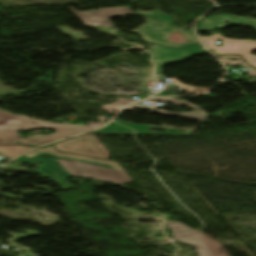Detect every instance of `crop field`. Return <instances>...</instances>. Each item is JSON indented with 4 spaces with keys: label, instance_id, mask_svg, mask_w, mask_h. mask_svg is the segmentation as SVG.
Masks as SVG:
<instances>
[{
    "label": "crop field",
    "instance_id": "cbeb9de0",
    "mask_svg": "<svg viewBox=\"0 0 256 256\" xmlns=\"http://www.w3.org/2000/svg\"><path fill=\"white\" fill-rule=\"evenodd\" d=\"M19 161L22 162V163H29V164H32V165L36 164L35 162L31 161L30 159L22 156V157H20V158H18L17 160L14 161L15 165H7V166L3 167V169H13L15 171L24 170L25 168H20V166H17Z\"/></svg>",
    "mask_w": 256,
    "mask_h": 256
},
{
    "label": "crop field",
    "instance_id": "34b2d1b8",
    "mask_svg": "<svg viewBox=\"0 0 256 256\" xmlns=\"http://www.w3.org/2000/svg\"><path fill=\"white\" fill-rule=\"evenodd\" d=\"M175 240L196 247L198 256H230L222 245L179 222H167Z\"/></svg>",
    "mask_w": 256,
    "mask_h": 256
},
{
    "label": "crop field",
    "instance_id": "d1516ede",
    "mask_svg": "<svg viewBox=\"0 0 256 256\" xmlns=\"http://www.w3.org/2000/svg\"><path fill=\"white\" fill-rule=\"evenodd\" d=\"M220 59L223 61V63L225 65H243L244 67L250 69L248 71V75L251 77H256V70L253 69L251 66H249L248 64H246L240 56H219ZM225 57H234L236 59H238L237 61H232V60H226L224 59Z\"/></svg>",
    "mask_w": 256,
    "mask_h": 256
},
{
    "label": "crop field",
    "instance_id": "dd49c442",
    "mask_svg": "<svg viewBox=\"0 0 256 256\" xmlns=\"http://www.w3.org/2000/svg\"><path fill=\"white\" fill-rule=\"evenodd\" d=\"M157 46L154 49L155 63L157 65V74H161L164 65L172 62L184 61L194 55L206 54L207 51L202 50L198 44H194L182 49H170L162 46Z\"/></svg>",
    "mask_w": 256,
    "mask_h": 256
},
{
    "label": "crop field",
    "instance_id": "8a807250",
    "mask_svg": "<svg viewBox=\"0 0 256 256\" xmlns=\"http://www.w3.org/2000/svg\"><path fill=\"white\" fill-rule=\"evenodd\" d=\"M55 146L58 150L91 157H111L108 150L96 136L74 138L55 144ZM25 156L41 164L37 172L55 181L63 189L71 187L66 182V179L74 175L116 184H124L132 181L117 162L61 153L57 152L53 146L36 149ZM55 172L61 173V175L59 176Z\"/></svg>",
    "mask_w": 256,
    "mask_h": 256
},
{
    "label": "crop field",
    "instance_id": "5a996713",
    "mask_svg": "<svg viewBox=\"0 0 256 256\" xmlns=\"http://www.w3.org/2000/svg\"><path fill=\"white\" fill-rule=\"evenodd\" d=\"M150 100H163V101H167V102L176 104V105H178V106H180V105H182V104H185V105H187V106H190V107L196 109L197 111H196V112H193V113H187V114L166 113V112L159 111V110H154V109H150V108H146V107L137 106V105H135V104L130 105V106H128V107L125 108V109H129L130 107H133V108H140V109H144V110L156 112V113L162 114V115H174V116L192 118V119H195V120H198V121H201V120H203L205 117H207L206 113H204L203 111H201L199 108H197V107L194 106V105L188 104V103H186V102H184V101H182V100H175V99H173V98H155V99H150Z\"/></svg>",
    "mask_w": 256,
    "mask_h": 256
},
{
    "label": "crop field",
    "instance_id": "28ad6ade",
    "mask_svg": "<svg viewBox=\"0 0 256 256\" xmlns=\"http://www.w3.org/2000/svg\"><path fill=\"white\" fill-rule=\"evenodd\" d=\"M219 17L223 18L221 21H216L215 24H201V28L199 29H213L216 26H219L221 29L225 27L226 25L223 23L224 21L233 22L234 16L227 15V14H221L220 16H213L210 18H213V20L218 19ZM240 24H230V25H241L246 26L241 20H238ZM207 27V28H205Z\"/></svg>",
    "mask_w": 256,
    "mask_h": 256
},
{
    "label": "crop field",
    "instance_id": "d9b57169",
    "mask_svg": "<svg viewBox=\"0 0 256 256\" xmlns=\"http://www.w3.org/2000/svg\"><path fill=\"white\" fill-rule=\"evenodd\" d=\"M98 117H99V119H100L99 124H96V123H90L89 128L94 129V128H97V127L103 126V124H101V123H102L104 120H108V119H105V118H104V117H102V116H98Z\"/></svg>",
    "mask_w": 256,
    "mask_h": 256
},
{
    "label": "crop field",
    "instance_id": "ac0d7876",
    "mask_svg": "<svg viewBox=\"0 0 256 256\" xmlns=\"http://www.w3.org/2000/svg\"><path fill=\"white\" fill-rule=\"evenodd\" d=\"M36 127L53 129L57 133L49 136L36 135L23 140L17 135V131ZM87 130H90L88 126L53 124L47 121L33 120L28 116L14 115L0 109V144H15L17 140H20L21 143L38 146Z\"/></svg>",
    "mask_w": 256,
    "mask_h": 256
},
{
    "label": "crop field",
    "instance_id": "22f410ed",
    "mask_svg": "<svg viewBox=\"0 0 256 256\" xmlns=\"http://www.w3.org/2000/svg\"><path fill=\"white\" fill-rule=\"evenodd\" d=\"M134 101L135 100H133V99L126 100V99L120 98V99H118V101L116 103H114L112 105H102V109L107 110L110 113H113L114 109H119L120 107H122L128 103L134 102Z\"/></svg>",
    "mask_w": 256,
    "mask_h": 256
},
{
    "label": "crop field",
    "instance_id": "412701ff",
    "mask_svg": "<svg viewBox=\"0 0 256 256\" xmlns=\"http://www.w3.org/2000/svg\"><path fill=\"white\" fill-rule=\"evenodd\" d=\"M209 49H214L217 54H240L249 64L256 67V56L250 53L256 50V42L251 40H229L219 34L210 37H200ZM224 40V46L216 47L215 40Z\"/></svg>",
    "mask_w": 256,
    "mask_h": 256
},
{
    "label": "crop field",
    "instance_id": "5142ce71",
    "mask_svg": "<svg viewBox=\"0 0 256 256\" xmlns=\"http://www.w3.org/2000/svg\"><path fill=\"white\" fill-rule=\"evenodd\" d=\"M171 80H172V81H171L170 83H174V84L178 85L179 87H181L182 89H184V90H186V91H189V92H193V93L199 94L198 92L193 91V90H194V88H193V87H186V86H184V85L180 84L179 82H177V81H176V80H174V79H171ZM196 89H200V88H196Z\"/></svg>",
    "mask_w": 256,
    "mask_h": 256
},
{
    "label": "crop field",
    "instance_id": "d8731c3e",
    "mask_svg": "<svg viewBox=\"0 0 256 256\" xmlns=\"http://www.w3.org/2000/svg\"><path fill=\"white\" fill-rule=\"evenodd\" d=\"M158 129H163L159 127H153ZM150 126L147 125H134L130 123H125L121 121H113L110 125L102 130L95 131V133H121V134H190V133H179V130H173L176 133H156L149 131ZM169 130V129H164Z\"/></svg>",
    "mask_w": 256,
    "mask_h": 256
},
{
    "label": "crop field",
    "instance_id": "e52e79f7",
    "mask_svg": "<svg viewBox=\"0 0 256 256\" xmlns=\"http://www.w3.org/2000/svg\"><path fill=\"white\" fill-rule=\"evenodd\" d=\"M79 19H81L85 24L94 26H107L113 27L112 23L108 18L118 17L122 15L131 14L129 8L126 7H115L99 9L97 11H85V12H75L73 8H69Z\"/></svg>",
    "mask_w": 256,
    "mask_h": 256
},
{
    "label": "crop field",
    "instance_id": "733c2abd",
    "mask_svg": "<svg viewBox=\"0 0 256 256\" xmlns=\"http://www.w3.org/2000/svg\"><path fill=\"white\" fill-rule=\"evenodd\" d=\"M166 90H163L162 92H160L158 95H165Z\"/></svg>",
    "mask_w": 256,
    "mask_h": 256
},
{
    "label": "crop field",
    "instance_id": "3316defc",
    "mask_svg": "<svg viewBox=\"0 0 256 256\" xmlns=\"http://www.w3.org/2000/svg\"><path fill=\"white\" fill-rule=\"evenodd\" d=\"M32 147L27 146H0V154L6 156L10 159L16 157L17 155L23 153L24 151Z\"/></svg>",
    "mask_w": 256,
    "mask_h": 256
},
{
    "label": "crop field",
    "instance_id": "f4fd0767",
    "mask_svg": "<svg viewBox=\"0 0 256 256\" xmlns=\"http://www.w3.org/2000/svg\"><path fill=\"white\" fill-rule=\"evenodd\" d=\"M150 18L158 19L161 22L167 24L168 30H146V31L138 32V34L143 38L144 41L159 43V44L172 46V47H181V46H185L190 43L199 42L194 37V35L192 33L188 32V31H184V30H179V29H176L175 27L171 26L173 23V19L170 16H166L163 14H157V15L150 16ZM172 31H177V32L182 33L183 38L189 40V43L167 42L169 35ZM200 45H201V43H200ZM203 49H205V48L203 47Z\"/></svg>",
    "mask_w": 256,
    "mask_h": 256
}]
</instances>
